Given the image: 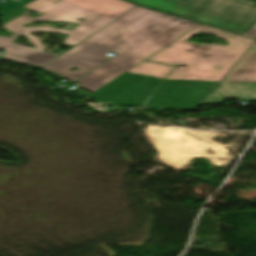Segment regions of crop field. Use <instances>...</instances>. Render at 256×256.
Instances as JSON below:
<instances>
[{
  "label": "crop field",
  "mask_w": 256,
  "mask_h": 256,
  "mask_svg": "<svg viewBox=\"0 0 256 256\" xmlns=\"http://www.w3.org/2000/svg\"><path fill=\"white\" fill-rule=\"evenodd\" d=\"M134 7L135 5L121 0H35L0 18L6 23L12 20L9 18L10 16L17 17L28 8L43 14L37 18L21 16L5 25V28L17 34L11 39L0 37V48L5 49L3 59L43 66L58 55L43 52L46 47L36 37L30 35V32L68 33L65 44L76 45ZM77 18L86 21L76 20ZM31 20L70 21L81 25L73 31L51 27H21ZM20 34L27 36L37 49L12 44L13 40Z\"/></svg>",
  "instance_id": "obj_2"
},
{
  "label": "crop field",
  "mask_w": 256,
  "mask_h": 256,
  "mask_svg": "<svg viewBox=\"0 0 256 256\" xmlns=\"http://www.w3.org/2000/svg\"><path fill=\"white\" fill-rule=\"evenodd\" d=\"M161 81L139 74L125 73L89 97L102 102L108 100L120 106H140Z\"/></svg>",
  "instance_id": "obj_6"
},
{
  "label": "crop field",
  "mask_w": 256,
  "mask_h": 256,
  "mask_svg": "<svg viewBox=\"0 0 256 256\" xmlns=\"http://www.w3.org/2000/svg\"><path fill=\"white\" fill-rule=\"evenodd\" d=\"M127 1L243 35L256 24V3L247 0Z\"/></svg>",
  "instance_id": "obj_4"
},
{
  "label": "crop field",
  "mask_w": 256,
  "mask_h": 256,
  "mask_svg": "<svg viewBox=\"0 0 256 256\" xmlns=\"http://www.w3.org/2000/svg\"><path fill=\"white\" fill-rule=\"evenodd\" d=\"M173 66L144 61L128 72L164 79Z\"/></svg>",
  "instance_id": "obj_9"
},
{
  "label": "crop field",
  "mask_w": 256,
  "mask_h": 256,
  "mask_svg": "<svg viewBox=\"0 0 256 256\" xmlns=\"http://www.w3.org/2000/svg\"><path fill=\"white\" fill-rule=\"evenodd\" d=\"M199 25L137 6L43 68L74 81L109 59L108 51L119 54L78 81L94 92Z\"/></svg>",
  "instance_id": "obj_1"
},
{
  "label": "crop field",
  "mask_w": 256,
  "mask_h": 256,
  "mask_svg": "<svg viewBox=\"0 0 256 256\" xmlns=\"http://www.w3.org/2000/svg\"><path fill=\"white\" fill-rule=\"evenodd\" d=\"M200 31L227 40L229 45L193 44L184 41ZM253 41L254 39L201 25L147 60L187 66L186 69L175 68L167 79L221 81Z\"/></svg>",
  "instance_id": "obj_3"
},
{
  "label": "crop field",
  "mask_w": 256,
  "mask_h": 256,
  "mask_svg": "<svg viewBox=\"0 0 256 256\" xmlns=\"http://www.w3.org/2000/svg\"><path fill=\"white\" fill-rule=\"evenodd\" d=\"M245 36L256 38V25Z\"/></svg>",
  "instance_id": "obj_11"
},
{
  "label": "crop field",
  "mask_w": 256,
  "mask_h": 256,
  "mask_svg": "<svg viewBox=\"0 0 256 256\" xmlns=\"http://www.w3.org/2000/svg\"><path fill=\"white\" fill-rule=\"evenodd\" d=\"M227 98L256 100V83L220 82L200 105L222 104Z\"/></svg>",
  "instance_id": "obj_7"
},
{
  "label": "crop field",
  "mask_w": 256,
  "mask_h": 256,
  "mask_svg": "<svg viewBox=\"0 0 256 256\" xmlns=\"http://www.w3.org/2000/svg\"><path fill=\"white\" fill-rule=\"evenodd\" d=\"M30 1H32V0H23L22 2H18V1H14V0H7V1L3 2L2 4H0V15L3 16Z\"/></svg>",
  "instance_id": "obj_10"
},
{
  "label": "crop field",
  "mask_w": 256,
  "mask_h": 256,
  "mask_svg": "<svg viewBox=\"0 0 256 256\" xmlns=\"http://www.w3.org/2000/svg\"><path fill=\"white\" fill-rule=\"evenodd\" d=\"M217 84L218 82L165 80L145 106L193 110Z\"/></svg>",
  "instance_id": "obj_5"
},
{
  "label": "crop field",
  "mask_w": 256,
  "mask_h": 256,
  "mask_svg": "<svg viewBox=\"0 0 256 256\" xmlns=\"http://www.w3.org/2000/svg\"><path fill=\"white\" fill-rule=\"evenodd\" d=\"M222 81L256 82V40Z\"/></svg>",
  "instance_id": "obj_8"
}]
</instances>
